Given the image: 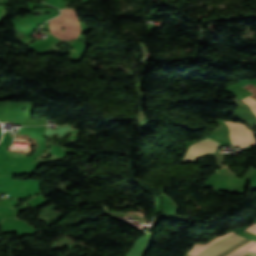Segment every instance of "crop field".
<instances>
[{"label": "crop field", "mask_w": 256, "mask_h": 256, "mask_svg": "<svg viewBox=\"0 0 256 256\" xmlns=\"http://www.w3.org/2000/svg\"><path fill=\"white\" fill-rule=\"evenodd\" d=\"M12 139V138H11Z\"/></svg>", "instance_id": "obj_4"}, {"label": "crop field", "mask_w": 256, "mask_h": 256, "mask_svg": "<svg viewBox=\"0 0 256 256\" xmlns=\"http://www.w3.org/2000/svg\"><path fill=\"white\" fill-rule=\"evenodd\" d=\"M255 86H256V84H255Z\"/></svg>", "instance_id": "obj_3"}, {"label": "crop field", "mask_w": 256, "mask_h": 256, "mask_svg": "<svg viewBox=\"0 0 256 256\" xmlns=\"http://www.w3.org/2000/svg\"><path fill=\"white\" fill-rule=\"evenodd\" d=\"M241 239H243V237H240L238 235L232 234L194 254H192L191 256H215L217 254H219L220 252H222L223 250L227 249L228 247L232 246L233 244L237 243L238 241H240ZM255 241H252L251 243H249L248 245H246L244 248H242L241 250H239L238 252H236L235 254L231 255V256H242L244 255L246 252L249 251V249L252 248V246L255 244ZM250 252H254L251 251ZM248 252L246 255L248 256H256V252L254 253H250Z\"/></svg>", "instance_id": "obj_2"}, {"label": "crop field", "mask_w": 256, "mask_h": 256, "mask_svg": "<svg viewBox=\"0 0 256 256\" xmlns=\"http://www.w3.org/2000/svg\"><path fill=\"white\" fill-rule=\"evenodd\" d=\"M61 22L62 24H59ZM50 34L61 40L77 38L81 27L75 9H64L62 14L49 22ZM61 28H65L63 32Z\"/></svg>", "instance_id": "obj_1"}]
</instances>
